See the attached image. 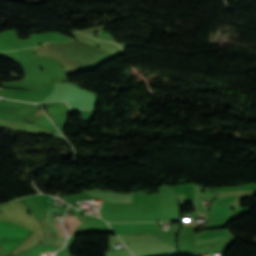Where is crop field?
Instances as JSON below:
<instances>
[{"label": "crop field", "instance_id": "obj_1", "mask_svg": "<svg viewBox=\"0 0 256 256\" xmlns=\"http://www.w3.org/2000/svg\"><path fill=\"white\" fill-rule=\"evenodd\" d=\"M68 221H69V224L71 226V229L72 231H74V229L77 227V225L79 224V221L77 218H67ZM66 218H64L63 222H62V225L63 227L66 229L68 235L72 233L71 229H70V226L68 224V221H67Z\"/></svg>", "mask_w": 256, "mask_h": 256}, {"label": "crop field", "instance_id": "obj_2", "mask_svg": "<svg viewBox=\"0 0 256 256\" xmlns=\"http://www.w3.org/2000/svg\"><path fill=\"white\" fill-rule=\"evenodd\" d=\"M54 228L56 230V232L58 233V235H66V233L64 232V230L62 229L60 222L59 223H55L53 224Z\"/></svg>", "mask_w": 256, "mask_h": 256}, {"label": "crop field", "instance_id": "obj_3", "mask_svg": "<svg viewBox=\"0 0 256 256\" xmlns=\"http://www.w3.org/2000/svg\"><path fill=\"white\" fill-rule=\"evenodd\" d=\"M105 212H107V211H105Z\"/></svg>", "mask_w": 256, "mask_h": 256}]
</instances>
